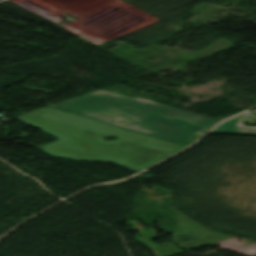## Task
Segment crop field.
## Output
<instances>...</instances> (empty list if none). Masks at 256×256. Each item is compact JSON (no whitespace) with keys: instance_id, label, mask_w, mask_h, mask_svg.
I'll list each match as a JSON object with an SVG mask.
<instances>
[{"instance_id":"4","label":"crop field","mask_w":256,"mask_h":256,"mask_svg":"<svg viewBox=\"0 0 256 256\" xmlns=\"http://www.w3.org/2000/svg\"><path fill=\"white\" fill-rule=\"evenodd\" d=\"M254 114L244 113L239 115L215 128L213 131L221 132H247V133H256V127H245L242 125V122L246 119L254 117Z\"/></svg>"},{"instance_id":"1","label":"crop field","mask_w":256,"mask_h":256,"mask_svg":"<svg viewBox=\"0 0 256 256\" xmlns=\"http://www.w3.org/2000/svg\"><path fill=\"white\" fill-rule=\"evenodd\" d=\"M16 119L61 139L40 147L52 156L109 161L137 172L186 147L49 107ZM112 135L119 139L103 140Z\"/></svg>"},{"instance_id":"3","label":"crop field","mask_w":256,"mask_h":256,"mask_svg":"<svg viewBox=\"0 0 256 256\" xmlns=\"http://www.w3.org/2000/svg\"><path fill=\"white\" fill-rule=\"evenodd\" d=\"M140 236H143V238H141ZM157 237L159 236L156 235V232H154L153 229L150 228V230H140L139 234L135 237V239L151 249L157 256H174L183 253V251L179 247L175 246L170 242L160 246L152 243L151 241Z\"/></svg>"},{"instance_id":"5","label":"crop field","mask_w":256,"mask_h":256,"mask_svg":"<svg viewBox=\"0 0 256 256\" xmlns=\"http://www.w3.org/2000/svg\"><path fill=\"white\" fill-rule=\"evenodd\" d=\"M113 125H116V126H126V124H113Z\"/></svg>"},{"instance_id":"2","label":"crop field","mask_w":256,"mask_h":256,"mask_svg":"<svg viewBox=\"0 0 256 256\" xmlns=\"http://www.w3.org/2000/svg\"><path fill=\"white\" fill-rule=\"evenodd\" d=\"M51 107L110 124L127 123V126L122 128L186 145L219 122L106 90H99Z\"/></svg>"}]
</instances>
